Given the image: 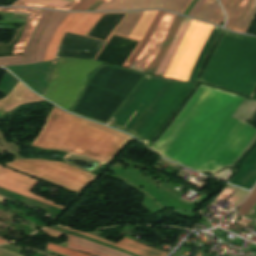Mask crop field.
<instances>
[{
	"label": "crop field",
	"mask_w": 256,
	"mask_h": 256,
	"mask_svg": "<svg viewBox=\"0 0 256 256\" xmlns=\"http://www.w3.org/2000/svg\"><path fill=\"white\" fill-rule=\"evenodd\" d=\"M191 20L190 19H184L168 53L166 54L165 58L163 59V61L161 62V64L159 65L158 69L156 70V72L154 73L155 76H159L161 77L163 75V73L165 72L166 68L168 67L175 51H176V48L183 36V34L185 33L187 27L189 26Z\"/></svg>",
	"instance_id": "dafd665d"
},
{
	"label": "crop field",
	"mask_w": 256,
	"mask_h": 256,
	"mask_svg": "<svg viewBox=\"0 0 256 256\" xmlns=\"http://www.w3.org/2000/svg\"><path fill=\"white\" fill-rule=\"evenodd\" d=\"M0 11L32 13V15L31 14L14 13L11 18V20L27 22L31 15V17H30L22 35L20 36L12 54L22 53L42 11L41 10H32V9H22V8H0Z\"/></svg>",
	"instance_id": "5142ce71"
},
{
	"label": "crop field",
	"mask_w": 256,
	"mask_h": 256,
	"mask_svg": "<svg viewBox=\"0 0 256 256\" xmlns=\"http://www.w3.org/2000/svg\"><path fill=\"white\" fill-rule=\"evenodd\" d=\"M102 64L104 63L58 59L44 96L68 110L80 93L87 75Z\"/></svg>",
	"instance_id": "e52e79f7"
},
{
	"label": "crop field",
	"mask_w": 256,
	"mask_h": 256,
	"mask_svg": "<svg viewBox=\"0 0 256 256\" xmlns=\"http://www.w3.org/2000/svg\"><path fill=\"white\" fill-rule=\"evenodd\" d=\"M143 76L109 65L101 66L87 80L71 112L106 124Z\"/></svg>",
	"instance_id": "f4fd0767"
},
{
	"label": "crop field",
	"mask_w": 256,
	"mask_h": 256,
	"mask_svg": "<svg viewBox=\"0 0 256 256\" xmlns=\"http://www.w3.org/2000/svg\"><path fill=\"white\" fill-rule=\"evenodd\" d=\"M192 0H189V2L186 4V6L184 7V9L181 11V14H183V12L185 11V9L188 7V5L190 4Z\"/></svg>",
	"instance_id": "b80d0937"
},
{
	"label": "crop field",
	"mask_w": 256,
	"mask_h": 256,
	"mask_svg": "<svg viewBox=\"0 0 256 256\" xmlns=\"http://www.w3.org/2000/svg\"><path fill=\"white\" fill-rule=\"evenodd\" d=\"M256 202V188L249 198L237 210L240 215H244Z\"/></svg>",
	"instance_id": "d3111659"
},
{
	"label": "crop field",
	"mask_w": 256,
	"mask_h": 256,
	"mask_svg": "<svg viewBox=\"0 0 256 256\" xmlns=\"http://www.w3.org/2000/svg\"><path fill=\"white\" fill-rule=\"evenodd\" d=\"M38 180L33 179L28 176L21 175L17 172H14L8 168H5L0 165V187L8 189L10 191L19 193L21 195L38 199L44 203L59 207L65 210V207L35 196L30 193L31 189L35 186ZM37 185V184H36Z\"/></svg>",
	"instance_id": "22f410ed"
},
{
	"label": "crop field",
	"mask_w": 256,
	"mask_h": 256,
	"mask_svg": "<svg viewBox=\"0 0 256 256\" xmlns=\"http://www.w3.org/2000/svg\"><path fill=\"white\" fill-rule=\"evenodd\" d=\"M218 4L215 0V2L212 4V6L209 8V10L206 12V14L203 16V20L209 21L210 17L214 13L215 9L217 8Z\"/></svg>",
	"instance_id": "5866460e"
},
{
	"label": "crop field",
	"mask_w": 256,
	"mask_h": 256,
	"mask_svg": "<svg viewBox=\"0 0 256 256\" xmlns=\"http://www.w3.org/2000/svg\"><path fill=\"white\" fill-rule=\"evenodd\" d=\"M200 82L252 97L256 87V37L226 31Z\"/></svg>",
	"instance_id": "412701ff"
},
{
	"label": "crop field",
	"mask_w": 256,
	"mask_h": 256,
	"mask_svg": "<svg viewBox=\"0 0 256 256\" xmlns=\"http://www.w3.org/2000/svg\"><path fill=\"white\" fill-rule=\"evenodd\" d=\"M220 32H221V29L214 27L212 33L210 34L209 38L207 39L205 45L203 46L194 66H193V69H192V72L190 74L188 81L196 82L198 73L201 69L200 66H201L203 60L205 59L207 53L209 52L214 40L216 39V37L218 36V34Z\"/></svg>",
	"instance_id": "00972430"
},
{
	"label": "crop field",
	"mask_w": 256,
	"mask_h": 256,
	"mask_svg": "<svg viewBox=\"0 0 256 256\" xmlns=\"http://www.w3.org/2000/svg\"><path fill=\"white\" fill-rule=\"evenodd\" d=\"M102 13H69L60 23L50 40L44 60H53L57 47L65 32L84 36Z\"/></svg>",
	"instance_id": "5a996713"
},
{
	"label": "crop field",
	"mask_w": 256,
	"mask_h": 256,
	"mask_svg": "<svg viewBox=\"0 0 256 256\" xmlns=\"http://www.w3.org/2000/svg\"><path fill=\"white\" fill-rule=\"evenodd\" d=\"M220 1V3L222 2V0H219Z\"/></svg>",
	"instance_id": "73cf0c24"
},
{
	"label": "crop field",
	"mask_w": 256,
	"mask_h": 256,
	"mask_svg": "<svg viewBox=\"0 0 256 256\" xmlns=\"http://www.w3.org/2000/svg\"><path fill=\"white\" fill-rule=\"evenodd\" d=\"M163 14V12H158L153 24L151 25L150 29L148 30L146 36L144 37L143 41L141 42L140 46L137 48V50L134 52V54L132 55V57L129 59V61L126 63V65L124 67L129 68V66L131 65V63L134 61V59L136 58V56L138 55V53L141 51V49L143 48V46L146 44V42L148 41L151 33L153 32L156 24L158 23L161 15Z\"/></svg>",
	"instance_id": "4177f3b9"
},
{
	"label": "crop field",
	"mask_w": 256,
	"mask_h": 256,
	"mask_svg": "<svg viewBox=\"0 0 256 256\" xmlns=\"http://www.w3.org/2000/svg\"><path fill=\"white\" fill-rule=\"evenodd\" d=\"M103 45L104 42L65 33L55 58L74 57L93 59Z\"/></svg>",
	"instance_id": "28ad6ade"
},
{
	"label": "crop field",
	"mask_w": 256,
	"mask_h": 256,
	"mask_svg": "<svg viewBox=\"0 0 256 256\" xmlns=\"http://www.w3.org/2000/svg\"><path fill=\"white\" fill-rule=\"evenodd\" d=\"M244 101L245 98L200 85L152 147L200 171L230 165L256 137V129L246 123L256 111V102ZM255 142L256 138L227 167L234 166ZM176 160L173 161L202 173Z\"/></svg>",
	"instance_id": "8a807250"
},
{
	"label": "crop field",
	"mask_w": 256,
	"mask_h": 256,
	"mask_svg": "<svg viewBox=\"0 0 256 256\" xmlns=\"http://www.w3.org/2000/svg\"><path fill=\"white\" fill-rule=\"evenodd\" d=\"M100 1H101V0H100ZM103 1L108 2L109 0H103Z\"/></svg>",
	"instance_id": "425ffa30"
},
{
	"label": "crop field",
	"mask_w": 256,
	"mask_h": 256,
	"mask_svg": "<svg viewBox=\"0 0 256 256\" xmlns=\"http://www.w3.org/2000/svg\"><path fill=\"white\" fill-rule=\"evenodd\" d=\"M3 65H8V64H0V66H3Z\"/></svg>",
	"instance_id": "d23c7cc5"
},
{
	"label": "crop field",
	"mask_w": 256,
	"mask_h": 256,
	"mask_svg": "<svg viewBox=\"0 0 256 256\" xmlns=\"http://www.w3.org/2000/svg\"><path fill=\"white\" fill-rule=\"evenodd\" d=\"M5 165L80 195L96 178L71 165L49 159H17Z\"/></svg>",
	"instance_id": "dd49c442"
},
{
	"label": "crop field",
	"mask_w": 256,
	"mask_h": 256,
	"mask_svg": "<svg viewBox=\"0 0 256 256\" xmlns=\"http://www.w3.org/2000/svg\"><path fill=\"white\" fill-rule=\"evenodd\" d=\"M68 13L66 12H53L40 39L37 46L36 59L35 62L42 61L44 52L46 50L47 44L51 39L56 27L59 23L66 17Z\"/></svg>",
	"instance_id": "4a817a6b"
},
{
	"label": "crop field",
	"mask_w": 256,
	"mask_h": 256,
	"mask_svg": "<svg viewBox=\"0 0 256 256\" xmlns=\"http://www.w3.org/2000/svg\"><path fill=\"white\" fill-rule=\"evenodd\" d=\"M97 0H82L77 6H75L72 10H86Z\"/></svg>",
	"instance_id": "d32e631a"
},
{
	"label": "crop field",
	"mask_w": 256,
	"mask_h": 256,
	"mask_svg": "<svg viewBox=\"0 0 256 256\" xmlns=\"http://www.w3.org/2000/svg\"><path fill=\"white\" fill-rule=\"evenodd\" d=\"M21 58H22V55L0 57V63L13 62V61H21Z\"/></svg>",
	"instance_id": "028f5c9d"
},
{
	"label": "crop field",
	"mask_w": 256,
	"mask_h": 256,
	"mask_svg": "<svg viewBox=\"0 0 256 256\" xmlns=\"http://www.w3.org/2000/svg\"><path fill=\"white\" fill-rule=\"evenodd\" d=\"M174 17L175 15L164 12L158 25L156 24L157 26L153 34L151 35L149 41L144 46V48L139 53V55L137 56L135 61L132 63L129 69H133L141 72L144 71V69L147 67V65L150 63V61L154 58V56L159 51Z\"/></svg>",
	"instance_id": "3316defc"
},
{
	"label": "crop field",
	"mask_w": 256,
	"mask_h": 256,
	"mask_svg": "<svg viewBox=\"0 0 256 256\" xmlns=\"http://www.w3.org/2000/svg\"><path fill=\"white\" fill-rule=\"evenodd\" d=\"M256 18V0H250L245 9L242 11L232 30L246 33L249 26ZM235 31V32H236Z\"/></svg>",
	"instance_id": "92a150f3"
},
{
	"label": "crop field",
	"mask_w": 256,
	"mask_h": 256,
	"mask_svg": "<svg viewBox=\"0 0 256 256\" xmlns=\"http://www.w3.org/2000/svg\"><path fill=\"white\" fill-rule=\"evenodd\" d=\"M200 255H201V254H199V253H198V255H197V256H200Z\"/></svg>",
	"instance_id": "25e5ab78"
},
{
	"label": "crop field",
	"mask_w": 256,
	"mask_h": 256,
	"mask_svg": "<svg viewBox=\"0 0 256 256\" xmlns=\"http://www.w3.org/2000/svg\"><path fill=\"white\" fill-rule=\"evenodd\" d=\"M48 250H51V251H54L57 253H61V254L67 255V256H90V255H87V254H84V253H81L78 251L66 249V248L60 247L58 245L50 244V243L48 244Z\"/></svg>",
	"instance_id": "730fd06b"
},
{
	"label": "crop field",
	"mask_w": 256,
	"mask_h": 256,
	"mask_svg": "<svg viewBox=\"0 0 256 256\" xmlns=\"http://www.w3.org/2000/svg\"><path fill=\"white\" fill-rule=\"evenodd\" d=\"M51 12L48 11H44L41 18L39 19L33 35L31 37V40L25 50L24 53V58H23V62H14V63H8L9 65H13V64H22V63H31L34 62V58H35V51H36V46H37V42H38V38L50 16Z\"/></svg>",
	"instance_id": "bc2a9ffb"
},
{
	"label": "crop field",
	"mask_w": 256,
	"mask_h": 256,
	"mask_svg": "<svg viewBox=\"0 0 256 256\" xmlns=\"http://www.w3.org/2000/svg\"><path fill=\"white\" fill-rule=\"evenodd\" d=\"M195 84L146 75L108 125L150 142Z\"/></svg>",
	"instance_id": "ac0d7876"
},
{
	"label": "crop field",
	"mask_w": 256,
	"mask_h": 256,
	"mask_svg": "<svg viewBox=\"0 0 256 256\" xmlns=\"http://www.w3.org/2000/svg\"><path fill=\"white\" fill-rule=\"evenodd\" d=\"M0 239L5 240V241H8V242H12V241H9V240L3 239V238H0Z\"/></svg>",
	"instance_id": "b54c1fbb"
},
{
	"label": "crop field",
	"mask_w": 256,
	"mask_h": 256,
	"mask_svg": "<svg viewBox=\"0 0 256 256\" xmlns=\"http://www.w3.org/2000/svg\"><path fill=\"white\" fill-rule=\"evenodd\" d=\"M157 11H148L144 12L142 15L141 19L137 23V25L134 27L131 35L129 36L130 38L142 40L144 37L145 33L149 29Z\"/></svg>",
	"instance_id": "a9b5d70f"
},
{
	"label": "crop field",
	"mask_w": 256,
	"mask_h": 256,
	"mask_svg": "<svg viewBox=\"0 0 256 256\" xmlns=\"http://www.w3.org/2000/svg\"><path fill=\"white\" fill-rule=\"evenodd\" d=\"M0 24H18V25H23L24 23H15V22L0 21Z\"/></svg>",
	"instance_id": "0bd39190"
},
{
	"label": "crop field",
	"mask_w": 256,
	"mask_h": 256,
	"mask_svg": "<svg viewBox=\"0 0 256 256\" xmlns=\"http://www.w3.org/2000/svg\"><path fill=\"white\" fill-rule=\"evenodd\" d=\"M46 229H49V228H46ZM46 229H43L42 231H44L45 233H47L48 235H50L56 239H58L62 234V233L58 234L59 232L55 233L57 231L52 232L54 230L49 231L51 229H49V230H46ZM64 235H66V234H64ZM66 236H67V245H66L67 248L88 252V253H91L93 255H98V256H128L126 254L120 253L118 251L112 250L110 248L104 247V246L96 244V243L82 240V239H79V238H76V237H73L70 235H66Z\"/></svg>",
	"instance_id": "cbeb9de0"
},
{
	"label": "crop field",
	"mask_w": 256,
	"mask_h": 256,
	"mask_svg": "<svg viewBox=\"0 0 256 256\" xmlns=\"http://www.w3.org/2000/svg\"><path fill=\"white\" fill-rule=\"evenodd\" d=\"M79 2V0H74L71 4L63 7V8H57V7H50V6H42V5H34V4H26V3H19L15 2L12 5H18V6H30V7H40V8H49V9H57V10H70L74 5H76Z\"/></svg>",
	"instance_id": "750c4746"
},
{
	"label": "crop field",
	"mask_w": 256,
	"mask_h": 256,
	"mask_svg": "<svg viewBox=\"0 0 256 256\" xmlns=\"http://www.w3.org/2000/svg\"><path fill=\"white\" fill-rule=\"evenodd\" d=\"M248 1L249 0H241V2L236 7V9L233 11V13L231 14L230 18L227 21V24H226L227 28L231 29L232 25L234 24V22L236 21L237 17L241 13V11L244 9V7L248 3Z\"/></svg>",
	"instance_id": "ae1a2a85"
},
{
	"label": "crop field",
	"mask_w": 256,
	"mask_h": 256,
	"mask_svg": "<svg viewBox=\"0 0 256 256\" xmlns=\"http://www.w3.org/2000/svg\"><path fill=\"white\" fill-rule=\"evenodd\" d=\"M188 0H111L95 10H133L162 8L180 13Z\"/></svg>",
	"instance_id": "d1516ede"
},
{
	"label": "crop field",
	"mask_w": 256,
	"mask_h": 256,
	"mask_svg": "<svg viewBox=\"0 0 256 256\" xmlns=\"http://www.w3.org/2000/svg\"><path fill=\"white\" fill-rule=\"evenodd\" d=\"M61 228H65V227H61ZM65 229H68V228H65ZM68 230H71V231L86 235L88 237H91V238H94V239H97V240L115 245L113 243H110V242L105 241L103 239H100V238H97L95 236L89 235L87 233L78 232V231H75V230H72V229H68ZM115 246L126 249V250H129L131 252L137 253V254L142 255V256H165L167 254V252L145 246L143 244H140V243L135 242L133 240L127 239L125 237H123V239Z\"/></svg>",
	"instance_id": "733c2abd"
},
{
	"label": "crop field",
	"mask_w": 256,
	"mask_h": 256,
	"mask_svg": "<svg viewBox=\"0 0 256 256\" xmlns=\"http://www.w3.org/2000/svg\"><path fill=\"white\" fill-rule=\"evenodd\" d=\"M2 243H7V242L0 240V244H2Z\"/></svg>",
	"instance_id": "03da06ac"
},
{
	"label": "crop field",
	"mask_w": 256,
	"mask_h": 256,
	"mask_svg": "<svg viewBox=\"0 0 256 256\" xmlns=\"http://www.w3.org/2000/svg\"><path fill=\"white\" fill-rule=\"evenodd\" d=\"M103 14H104V13H103ZM126 15H127V14H126ZM101 17H102V16H101ZM101 17H100V18H101ZM125 17H126V16H125ZM124 19H125V18H124ZM124 19H123V20H124ZM123 20H122V21H123ZM122 21L118 24V26L122 23ZM97 22H98V21H97ZM97 22H96V23H97ZM96 23H95V24H96ZM118 26H117V27H118ZM93 27H94V26H93ZM93 27H92V28H93ZM117 27H116V28H117ZM92 28H91V29H92ZM116 28H115V29H116ZM91 29H90V30H91ZM115 29H114V30H115ZM90 30H89V31H90ZM89 31H88V32H89ZM88 32H87V33H88ZM110 35H111V34H110ZM86 37H87V36H86ZM107 39H108V38H107ZM105 42H106V41H105Z\"/></svg>",
	"instance_id": "c035e120"
},
{
	"label": "crop field",
	"mask_w": 256,
	"mask_h": 256,
	"mask_svg": "<svg viewBox=\"0 0 256 256\" xmlns=\"http://www.w3.org/2000/svg\"><path fill=\"white\" fill-rule=\"evenodd\" d=\"M131 140L122 133L68 114L54 106L32 146L71 151L111 161Z\"/></svg>",
	"instance_id": "34b2d1b8"
},
{
	"label": "crop field",
	"mask_w": 256,
	"mask_h": 256,
	"mask_svg": "<svg viewBox=\"0 0 256 256\" xmlns=\"http://www.w3.org/2000/svg\"><path fill=\"white\" fill-rule=\"evenodd\" d=\"M210 22H212L214 24H218V25L222 24L223 13L221 12L219 6H218L217 10L215 11V13L213 14L212 18L210 19Z\"/></svg>",
	"instance_id": "120bbe31"
},
{
	"label": "crop field",
	"mask_w": 256,
	"mask_h": 256,
	"mask_svg": "<svg viewBox=\"0 0 256 256\" xmlns=\"http://www.w3.org/2000/svg\"><path fill=\"white\" fill-rule=\"evenodd\" d=\"M213 26L192 20L163 77L187 81L193 63Z\"/></svg>",
	"instance_id": "d8731c3e"
},
{
	"label": "crop field",
	"mask_w": 256,
	"mask_h": 256,
	"mask_svg": "<svg viewBox=\"0 0 256 256\" xmlns=\"http://www.w3.org/2000/svg\"><path fill=\"white\" fill-rule=\"evenodd\" d=\"M19 2H27V3H34V4H43V5H51V6H58L63 7L70 2L64 0H17Z\"/></svg>",
	"instance_id": "eef30255"
},
{
	"label": "crop field",
	"mask_w": 256,
	"mask_h": 256,
	"mask_svg": "<svg viewBox=\"0 0 256 256\" xmlns=\"http://www.w3.org/2000/svg\"><path fill=\"white\" fill-rule=\"evenodd\" d=\"M183 20V17H179L177 16V18L175 19V21L173 22L167 37L159 51V53L156 55V57L152 60V62L148 65V67L145 69L144 73L147 74H153L154 70L157 68V66L159 65V63L162 61V59L164 58L181 22Z\"/></svg>",
	"instance_id": "214f88e0"
},
{
	"label": "crop field",
	"mask_w": 256,
	"mask_h": 256,
	"mask_svg": "<svg viewBox=\"0 0 256 256\" xmlns=\"http://www.w3.org/2000/svg\"><path fill=\"white\" fill-rule=\"evenodd\" d=\"M2 200H4V198L0 197V202H1Z\"/></svg>",
	"instance_id": "5d738f31"
},
{
	"label": "crop field",
	"mask_w": 256,
	"mask_h": 256,
	"mask_svg": "<svg viewBox=\"0 0 256 256\" xmlns=\"http://www.w3.org/2000/svg\"><path fill=\"white\" fill-rule=\"evenodd\" d=\"M28 90L18 81L14 89L6 97L0 100V109L9 111L17 105L43 100L41 97Z\"/></svg>",
	"instance_id": "d9b57169"
},
{
	"label": "crop field",
	"mask_w": 256,
	"mask_h": 256,
	"mask_svg": "<svg viewBox=\"0 0 256 256\" xmlns=\"http://www.w3.org/2000/svg\"><path fill=\"white\" fill-rule=\"evenodd\" d=\"M239 2L240 0H223L221 4L226 12L227 19Z\"/></svg>",
	"instance_id": "bd1437ed"
},
{
	"label": "crop field",
	"mask_w": 256,
	"mask_h": 256,
	"mask_svg": "<svg viewBox=\"0 0 256 256\" xmlns=\"http://www.w3.org/2000/svg\"><path fill=\"white\" fill-rule=\"evenodd\" d=\"M213 2L214 0H206L199 9V11L197 12V14L195 15V18L201 19Z\"/></svg>",
	"instance_id": "1d83c4d3"
},
{
	"label": "crop field",
	"mask_w": 256,
	"mask_h": 256,
	"mask_svg": "<svg viewBox=\"0 0 256 256\" xmlns=\"http://www.w3.org/2000/svg\"><path fill=\"white\" fill-rule=\"evenodd\" d=\"M112 35H113V33H112ZM112 35H111V36H112ZM111 36H110V38H111ZM110 38H109V39H110ZM107 42H108V41H107ZM139 44H140V42L138 43V45H139ZM138 45H137V46H138ZM104 46H105V45H104ZM137 46H136V48H137ZM136 48H135V49H136ZM135 49H134V50H135ZM101 50H102V49H101ZM101 50H100V51H101ZM133 52H134V51H133ZM133 52H132V53H133ZM98 54H99V53H98ZM98 54H97V55H98ZM97 55H96V56H97ZM130 56H131V55H130ZM95 58H96V57H95ZM95 58H94V59H95Z\"/></svg>",
	"instance_id": "c21b1889"
},
{
	"label": "crop field",
	"mask_w": 256,
	"mask_h": 256,
	"mask_svg": "<svg viewBox=\"0 0 256 256\" xmlns=\"http://www.w3.org/2000/svg\"><path fill=\"white\" fill-rule=\"evenodd\" d=\"M205 0H198L197 3L194 5V7L191 9V11L188 13V16L194 17L200 6Z\"/></svg>",
	"instance_id": "e1f06a70"
}]
</instances>
